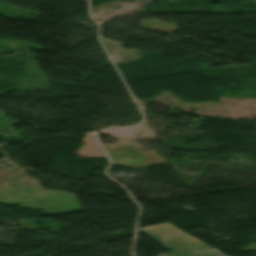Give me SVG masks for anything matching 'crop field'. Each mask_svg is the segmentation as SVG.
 I'll return each instance as SVG.
<instances>
[{"mask_svg": "<svg viewBox=\"0 0 256 256\" xmlns=\"http://www.w3.org/2000/svg\"><path fill=\"white\" fill-rule=\"evenodd\" d=\"M144 233L171 252L192 251L211 248L178 228L165 223L141 228Z\"/></svg>", "mask_w": 256, "mask_h": 256, "instance_id": "1", "label": "crop field"}, {"mask_svg": "<svg viewBox=\"0 0 256 256\" xmlns=\"http://www.w3.org/2000/svg\"><path fill=\"white\" fill-rule=\"evenodd\" d=\"M158 256H224L217 249L206 250V251H196V252H183L174 254H161Z\"/></svg>", "mask_w": 256, "mask_h": 256, "instance_id": "2", "label": "crop field"}]
</instances>
